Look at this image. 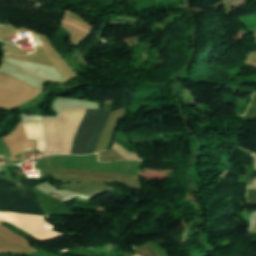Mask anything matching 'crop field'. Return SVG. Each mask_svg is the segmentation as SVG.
<instances>
[{"mask_svg": "<svg viewBox=\"0 0 256 256\" xmlns=\"http://www.w3.org/2000/svg\"><path fill=\"white\" fill-rule=\"evenodd\" d=\"M0 212L46 216L25 178L19 179L18 184L0 178Z\"/></svg>", "mask_w": 256, "mask_h": 256, "instance_id": "crop-field-1", "label": "crop field"}, {"mask_svg": "<svg viewBox=\"0 0 256 256\" xmlns=\"http://www.w3.org/2000/svg\"><path fill=\"white\" fill-rule=\"evenodd\" d=\"M86 111H111L86 109ZM101 112H85L73 137L68 154L94 153L99 135L110 114Z\"/></svg>", "mask_w": 256, "mask_h": 256, "instance_id": "crop-field-2", "label": "crop field"}, {"mask_svg": "<svg viewBox=\"0 0 256 256\" xmlns=\"http://www.w3.org/2000/svg\"><path fill=\"white\" fill-rule=\"evenodd\" d=\"M40 204L44 208L47 216H63L75 214L69 205L59 201L58 199L49 196L42 191L33 188Z\"/></svg>", "mask_w": 256, "mask_h": 256, "instance_id": "crop-field-3", "label": "crop field"}, {"mask_svg": "<svg viewBox=\"0 0 256 256\" xmlns=\"http://www.w3.org/2000/svg\"><path fill=\"white\" fill-rule=\"evenodd\" d=\"M135 252H136V254H138L140 256H159L154 250H152L148 246L138 249Z\"/></svg>", "mask_w": 256, "mask_h": 256, "instance_id": "crop-field-4", "label": "crop field"}, {"mask_svg": "<svg viewBox=\"0 0 256 256\" xmlns=\"http://www.w3.org/2000/svg\"><path fill=\"white\" fill-rule=\"evenodd\" d=\"M247 200L256 203V190L248 189Z\"/></svg>", "mask_w": 256, "mask_h": 256, "instance_id": "crop-field-5", "label": "crop field"}]
</instances>
